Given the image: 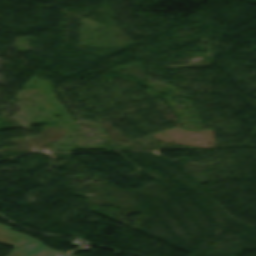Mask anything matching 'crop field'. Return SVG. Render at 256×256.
Segmentation results:
<instances>
[{
  "mask_svg": "<svg viewBox=\"0 0 256 256\" xmlns=\"http://www.w3.org/2000/svg\"><path fill=\"white\" fill-rule=\"evenodd\" d=\"M10 228L0 224V243L15 247L6 256H56L60 253L29 236L11 231Z\"/></svg>",
  "mask_w": 256,
  "mask_h": 256,
  "instance_id": "crop-field-1",
  "label": "crop field"
}]
</instances>
